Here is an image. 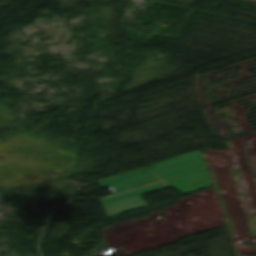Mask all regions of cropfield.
<instances>
[{"label":"crop field","mask_w":256,"mask_h":256,"mask_svg":"<svg viewBox=\"0 0 256 256\" xmlns=\"http://www.w3.org/2000/svg\"><path fill=\"white\" fill-rule=\"evenodd\" d=\"M145 167L183 194L211 185L199 150Z\"/></svg>","instance_id":"1"},{"label":"crop field","mask_w":256,"mask_h":256,"mask_svg":"<svg viewBox=\"0 0 256 256\" xmlns=\"http://www.w3.org/2000/svg\"><path fill=\"white\" fill-rule=\"evenodd\" d=\"M148 205L146 202H144L139 197L135 196L129 199H125L119 202H115L109 205H105V209L107 211V214L109 216L121 214L142 206Z\"/></svg>","instance_id":"3"},{"label":"crop field","mask_w":256,"mask_h":256,"mask_svg":"<svg viewBox=\"0 0 256 256\" xmlns=\"http://www.w3.org/2000/svg\"><path fill=\"white\" fill-rule=\"evenodd\" d=\"M158 180L161 179L143 167L138 170L98 181V184L101 188L109 186L114 194H116Z\"/></svg>","instance_id":"2"},{"label":"crop field","mask_w":256,"mask_h":256,"mask_svg":"<svg viewBox=\"0 0 256 256\" xmlns=\"http://www.w3.org/2000/svg\"><path fill=\"white\" fill-rule=\"evenodd\" d=\"M165 187H169V185H167L165 182L161 181V182H158V183H155V184H152V185H148V186H145V187H142V188H139V189H135V190H132V191H129V192H125V193H122V194H119V195H116V196H113V197L103 199L102 201H103V204L105 205V204H109V203H112V202H115V201H119V200H122V199H125V198H128V197H132V196H135V195H138V194L150 192V191L165 188Z\"/></svg>","instance_id":"4"}]
</instances>
